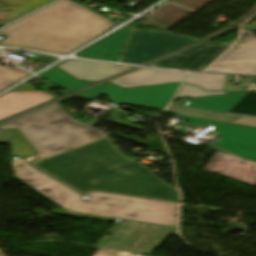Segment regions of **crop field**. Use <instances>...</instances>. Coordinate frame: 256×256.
Here are the masks:
<instances>
[{
  "label": "crop field",
  "mask_w": 256,
  "mask_h": 256,
  "mask_svg": "<svg viewBox=\"0 0 256 256\" xmlns=\"http://www.w3.org/2000/svg\"><path fill=\"white\" fill-rule=\"evenodd\" d=\"M1 128H19L38 152L31 165L80 193L96 190L179 202L177 189L124 155L103 131L74 120L58 104Z\"/></svg>",
  "instance_id": "obj_1"
},
{
  "label": "crop field",
  "mask_w": 256,
  "mask_h": 256,
  "mask_svg": "<svg viewBox=\"0 0 256 256\" xmlns=\"http://www.w3.org/2000/svg\"><path fill=\"white\" fill-rule=\"evenodd\" d=\"M114 24L70 0H62L1 30L0 35L9 37L0 45L66 54Z\"/></svg>",
  "instance_id": "obj_2"
},
{
  "label": "crop field",
  "mask_w": 256,
  "mask_h": 256,
  "mask_svg": "<svg viewBox=\"0 0 256 256\" xmlns=\"http://www.w3.org/2000/svg\"><path fill=\"white\" fill-rule=\"evenodd\" d=\"M15 179L64 210L177 227L178 204L91 193L88 199L29 166L13 160Z\"/></svg>",
  "instance_id": "obj_3"
},
{
  "label": "crop field",
  "mask_w": 256,
  "mask_h": 256,
  "mask_svg": "<svg viewBox=\"0 0 256 256\" xmlns=\"http://www.w3.org/2000/svg\"><path fill=\"white\" fill-rule=\"evenodd\" d=\"M174 229L124 220L102 246L151 255Z\"/></svg>",
  "instance_id": "obj_4"
},
{
  "label": "crop field",
  "mask_w": 256,
  "mask_h": 256,
  "mask_svg": "<svg viewBox=\"0 0 256 256\" xmlns=\"http://www.w3.org/2000/svg\"><path fill=\"white\" fill-rule=\"evenodd\" d=\"M179 85L180 83L122 89L113 84H106L86 90L77 95L84 98H93L105 94L114 103L145 105L164 110Z\"/></svg>",
  "instance_id": "obj_5"
},
{
  "label": "crop field",
  "mask_w": 256,
  "mask_h": 256,
  "mask_svg": "<svg viewBox=\"0 0 256 256\" xmlns=\"http://www.w3.org/2000/svg\"><path fill=\"white\" fill-rule=\"evenodd\" d=\"M194 41L174 34L135 30L121 62L142 64Z\"/></svg>",
  "instance_id": "obj_6"
},
{
  "label": "crop field",
  "mask_w": 256,
  "mask_h": 256,
  "mask_svg": "<svg viewBox=\"0 0 256 256\" xmlns=\"http://www.w3.org/2000/svg\"><path fill=\"white\" fill-rule=\"evenodd\" d=\"M177 116L194 124L214 125L221 139L213 145L245 159L256 161V129Z\"/></svg>",
  "instance_id": "obj_7"
},
{
  "label": "crop field",
  "mask_w": 256,
  "mask_h": 256,
  "mask_svg": "<svg viewBox=\"0 0 256 256\" xmlns=\"http://www.w3.org/2000/svg\"><path fill=\"white\" fill-rule=\"evenodd\" d=\"M206 71L256 74V34L244 36Z\"/></svg>",
  "instance_id": "obj_8"
},
{
  "label": "crop field",
  "mask_w": 256,
  "mask_h": 256,
  "mask_svg": "<svg viewBox=\"0 0 256 256\" xmlns=\"http://www.w3.org/2000/svg\"><path fill=\"white\" fill-rule=\"evenodd\" d=\"M230 45L206 42L149 66L202 71Z\"/></svg>",
  "instance_id": "obj_9"
},
{
  "label": "crop field",
  "mask_w": 256,
  "mask_h": 256,
  "mask_svg": "<svg viewBox=\"0 0 256 256\" xmlns=\"http://www.w3.org/2000/svg\"><path fill=\"white\" fill-rule=\"evenodd\" d=\"M202 171L216 172L256 187V163L229 154L217 152Z\"/></svg>",
  "instance_id": "obj_10"
},
{
  "label": "crop field",
  "mask_w": 256,
  "mask_h": 256,
  "mask_svg": "<svg viewBox=\"0 0 256 256\" xmlns=\"http://www.w3.org/2000/svg\"><path fill=\"white\" fill-rule=\"evenodd\" d=\"M77 79L98 81L116 73L130 69L124 65H116L92 61H66L57 66Z\"/></svg>",
  "instance_id": "obj_11"
},
{
  "label": "crop field",
  "mask_w": 256,
  "mask_h": 256,
  "mask_svg": "<svg viewBox=\"0 0 256 256\" xmlns=\"http://www.w3.org/2000/svg\"><path fill=\"white\" fill-rule=\"evenodd\" d=\"M130 33V31L122 29L76 55L99 60L118 61Z\"/></svg>",
  "instance_id": "obj_12"
},
{
  "label": "crop field",
  "mask_w": 256,
  "mask_h": 256,
  "mask_svg": "<svg viewBox=\"0 0 256 256\" xmlns=\"http://www.w3.org/2000/svg\"><path fill=\"white\" fill-rule=\"evenodd\" d=\"M187 72L151 71L139 69L113 81V84L128 88L133 86L158 85L167 82H182Z\"/></svg>",
  "instance_id": "obj_13"
},
{
  "label": "crop field",
  "mask_w": 256,
  "mask_h": 256,
  "mask_svg": "<svg viewBox=\"0 0 256 256\" xmlns=\"http://www.w3.org/2000/svg\"><path fill=\"white\" fill-rule=\"evenodd\" d=\"M52 99L47 93L16 92L0 97V119Z\"/></svg>",
  "instance_id": "obj_14"
},
{
  "label": "crop field",
  "mask_w": 256,
  "mask_h": 256,
  "mask_svg": "<svg viewBox=\"0 0 256 256\" xmlns=\"http://www.w3.org/2000/svg\"><path fill=\"white\" fill-rule=\"evenodd\" d=\"M54 0H0V25L40 8Z\"/></svg>",
  "instance_id": "obj_15"
},
{
  "label": "crop field",
  "mask_w": 256,
  "mask_h": 256,
  "mask_svg": "<svg viewBox=\"0 0 256 256\" xmlns=\"http://www.w3.org/2000/svg\"><path fill=\"white\" fill-rule=\"evenodd\" d=\"M246 93L226 92V95L192 98L189 107L226 113Z\"/></svg>",
  "instance_id": "obj_16"
},
{
  "label": "crop field",
  "mask_w": 256,
  "mask_h": 256,
  "mask_svg": "<svg viewBox=\"0 0 256 256\" xmlns=\"http://www.w3.org/2000/svg\"><path fill=\"white\" fill-rule=\"evenodd\" d=\"M170 106L171 107L169 108L168 111L175 112L182 115H188V116L206 118V119L215 120V121L256 127V117L223 115V114L203 112V111H198V110H193V109H188V108H183V107H178L173 105H170Z\"/></svg>",
  "instance_id": "obj_17"
},
{
  "label": "crop field",
  "mask_w": 256,
  "mask_h": 256,
  "mask_svg": "<svg viewBox=\"0 0 256 256\" xmlns=\"http://www.w3.org/2000/svg\"><path fill=\"white\" fill-rule=\"evenodd\" d=\"M225 75L190 73L186 83L195 84L205 90H222Z\"/></svg>",
  "instance_id": "obj_18"
},
{
  "label": "crop field",
  "mask_w": 256,
  "mask_h": 256,
  "mask_svg": "<svg viewBox=\"0 0 256 256\" xmlns=\"http://www.w3.org/2000/svg\"><path fill=\"white\" fill-rule=\"evenodd\" d=\"M40 76L45 77L52 82L64 87L65 89L69 91H75L83 86H86L92 82H87V81H76L66 73L62 72L58 68H53Z\"/></svg>",
  "instance_id": "obj_19"
},
{
  "label": "crop field",
  "mask_w": 256,
  "mask_h": 256,
  "mask_svg": "<svg viewBox=\"0 0 256 256\" xmlns=\"http://www.w3.org/2000/svg\"><path fill=\"white\" fill-rule=\"evenodd\" d=\"M10 147L13 154L18 155L28 163L36 159L35 150L18 130H15L10 140Z\"/></svg>",
  "instance_id": "obj_20"
},
{
  "label": "crop field",
  "mask_w": 256,
  "mask_h": 256,
  "mask_svg": "<svg viewBox=\"0 0 256 256\" xmlns=\"http://www.w3.org/2000/svg\"><path fill=\"white\" fill-rule=\"evenodd\" d=\"M227 113L256 116V93H248Z\"/></svg>",
  "instance_id": "obj_21"
},
{
  "label": "crop field",
  "mask_w": 256,
  "mask_h": 256,
  "mask_svg": "<svg viewBox=\"0 0 256 256\" xmlns=\"http://www.w3.org/2000/svg\"><path fill=\"white\" fill-rule=\"evenodd\" d=\"M28 75L30 73L18 68L0 66V90Z\"/></svg>",
  "instance_id": "obj_22"
},
{
  "label": "crop field",
  "mask_w": 256,
  "mask_h": 256,
  "mask_svg": "<svg viewBox=\"0 0 256 256\" xmlns=\"http://www.w3.org/2000/svg\"><path fill=\"white\" fill-rule=\"evenodd\" d=\"M219 94H225V92L204 91L194 85L183 84V86L181 87L180 91L178 92L175 98L197 97V96L219 95Z\"/></svg>",
  "instance_id": "obj_23"
},
{
  "label": "crop field",
  "mask_w": 256,
  "mask_h": 256,
  "mask_svg": "<svg viewBox=\"0 0 256 256\" xmlns=\"http://www.w3.org/2000/svg\"><path fill=\"white\" fill-rule=\"evenodd\" d=\"M93 256H140V255L99 248Z\"/></svg>",
  "instance_id": "obj_24"
},
{
  "label": "crop field",
  "mask_w": 256,
  "mask_h": 256,
  "mask_svg": "<svg viewBox=\"0 0 256 256\" xmlns=\"http://www.w3.org/2000/svg\"><path fill=\"white\" fill-rule=\"evenodd\" d=\"M52 212H55V213H63V214H69V215H75V216L86 217V218H92V219L103 220V221H108V222H112V221H114V219H115V218H110V217H102V216L88 215V214L75 213V212H68V211H62V210H56V209H53Z\"/></svg>",
  "instance_id": "obj_25"
},
{
  "label": "crop field",
  "mask_w": 256,
  "mask_h": 256,
  "mask_svg": "<svg viewBox=\"0 0 256 256\" xmlns=\"http://www.w3.org/2000/svg\"><path fill=\"white\" fill-rule=\"evenodd\" d=\"M14 130L0 129V142L9 141Z\"/></svg>",
  "instance_id": "obj_26"
},
{
  "label": "crop field",
  "mask_w": 256,
  "mask_h": 256,
  "mask_svg": "<svg viewBox=\"0 0 256 256\" xmlns=\"http://www.w3.org/2000/svg\"><path fill=\"white\" fill-rule=\"evenodd\" d=\"M15 91H35L33 88L32 84H28V85H22L14 90H12L11 92H15Z\"/></svg>",
  "instance_id": "obj_27"
},
{
  "label": "crop field",
  "mask_w": 256,
  "mask_h": 256,
  "mask_svg": "<svg viewBox=\"0 0 256 256\" xmlns=\"http://www.w3.org/2000/svg\"><path fill=\"white\" fill-rule=\"evenodd\" d=\"M242 30L256 31V22L243 26Z\"/></svg>",
  "instance_id": "obj_28"
},
{
  "label": "crop field",
  "mask_w": 256,
  "mask_h": 256,
  "mask_svg": "<svg viewBox=\"0 0 256 256\" xmlns=\"http://www.w3.org/2000/svg\"><path fill=\"white\" fill-rule=\"evenodd\" d=\"M141 256H144V255H141Z\"/></svg>",
  "instance_id": "obj_29"
}]
</instances>
